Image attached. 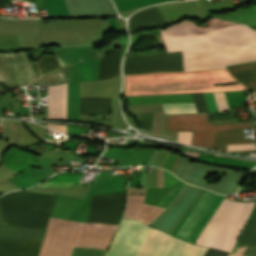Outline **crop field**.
Instances as JSON below:
<instances>
[{"instance_id": "obj_1", "label": "crop field", "mask_w": 256, "mask_h": 256, "mask_svg": "<svg viewBox=\"0 0 256 256\" xmlns=\"http://www.w3.org/2000/svg\"><path fill=\"white\" fill-rule=\"evenodd\" d=\"M161 34L167 52L182 51L184 71L256 60V31L220 18L199 27L183 21L161 30Z\"/></svg>"}, {"instance_id": "obj_2", "label": "crop field", "mask_w": 256, "mask_h": 256, "mask_svg": "<svg viewBox=\"0 0 256 256\" xmlns=\"http://www.w3.org/2000/svg\"><path fill=\"white\" fill-rule=\"evenodd\" d=\"M224 196L205 191L186 217L169 234L184 241H197ZM254 202L224 200L196 244L232 251Z\"/></svg>"}, {"instance_id": "obj_3", "label": "crop field", "mask_w": 256, "mask_h": 256, "mask_svg": "<svg viewBox=\"0 0 256 256\" xmlns=\"http://www.w3.org/2000/svg\"><path fill=\"white\" fill-rule=\"evenodd\" d=\"M125 80V96L246 89L241 84L213 86L235 81L227 70L129 75L125 76Z\"/></svg>"}, {"instance_id": "obj_4", "label": "crop field", "mask_w": 256, "mask_h": 256, "mask_svg": "<svg viewBox=\"0 0 256 256\" xmlns=\"http://www.w3.org/2000/svg\"><path fill=\"white\" fill-rule=\"evenodd\" d=\"M156 231L138 221L122 219L106 256H135ZM206 250L158 231L137 256H203Z\"/></svg>"}, {"instance_id": "obj_5", "label": "crop field", "mask_w": 256, "mask_h": 256, "mask_svg": "<svg viewBox=\"0 0 256 256\" xmlns=\"http://www.w3.org/2000/svg\"><path fill=\"white\" fill-rule=\"evenodd\" d=\"M255 123L215 125L208 114L166 115L164 130L193 131L191 144L226 151L227 144L255 143L245 139L244 128Z\"/></svg>"}, {"instance_id": "obj_6", "label": "crop field", "mask_w": 256, "mask_h": 256, "mask_svg": "<svg viewBox=\"0 0 256 256\" xmlns=\"http://www.w3.org/2000/svg\"><path fill=\"white\" fill-rule=\"evenodd\" d=\"M57 196L16 192L0 199L5 225L46 228Z\"/></svg>"}, {"instance_id": "obj_7", "label": "crop field", "mask_w": 256, "mask_h": 256, "mask_svg": "<svg viewBox=\"0 0 256 256\" xmlns=\"http://www.w3.org/2000/svg\"><path fill=\"white\" fill-rule=\"evenodd\" d=\"M158 71H182L180 52L127 58L124 74Z\"/></svg>"}, {"instance_id": "obj_8", "label": "crop field", "mask_w": 256, "mask_h": 256, "mask_svg": "<svg viewBox=\"0 0 256 256\" xmlns=\"http://www.w3.org/2000/svg\"><path fill=\"white\" fill-rule=\"evenodd\" d=\"M41 243L0 239V256H38Z\"/></svg>"}, {"instance_id": "obj_9", "label": "crop field", "mask_w": 256, "mask_h": 256, "mask_svg": "<svg viewBox=\"0 0 256 256\" xmlns=\"http://www.w3.org/2000/svg\"><path fill=\"white\" fill-rule=\"evenodd\" d=\"M67 83L48 86V118L66 119Z\"/></svg>"}, {"instance_id": "obj_10", "label": "crop field", "mask_w": 256, "mask_h": 256, "mask_svg": "<svg viewBox=\"0 0 256 256\" xmlns=\"http://www.w3.org/2000/svg\"><path fill=\"white\" fill-rule=\"evenodd\" d=\"M53 50L57 55L62 67L70 63L99 57L94 46L56 48Z\"/></svg>"}, {"instance_id": "obj_11", "label": "crop field", "mask_w": 256, "mask_h": 256, "mask_svg": "<svg viewBox=\"0 0 256 256\" xmlns=\"http://www.w3.org/2000/svg\"><path fill=\"white\" fill-rule=\"evenodd\" d=\"M46 229L0 226V238L42 241Z\"/></svg>"}, {"instance_id": "obj_12", "label": "crop field", "mask_w": 256, "mask_h": 256, "mask_svg": "<svg viewBox=\"0 0 256 256\" xmlns=\"http://www.w3.org/2000/svg\"><path fill=\"white\" fill-rule=\"evenodd\" d=\"M232 75L252 90H256V62L227 67Z\"/></svg>"}, {"instance_id": "obj_13", "label": "crop field", "mask_w": 256, "mask_h": 256, "mask_svg": "<svg viewBox=\"0 0 256 256\" xmlns=\"http://www.w3.org/2000/svg\"><path fill=\"white\" fill-rule=\"evenodd\" d=\"M121 48L100 59L99 80H106L119 75Z\"/></svg>"}, {"instance_id": "obj_14", "label": "crop field", "mask_w": 256, "mask_h": 256, "mask_svg": "<svg viewBox=\"0 0 256 256\" xmlns=\"http://www.w3.org/2000/svg\"><path fill=\"white\" fill-rule=\"evenodd\" d=\"M110 101L106 98H80V114H110Z\"/></svg>"}, {"instance_id": "obj_15", "label": "crop field", "mask_w": 256, "mask_h": 256, "mask_svg": "<svg viewBox=\"0 0 256 256\" xmlns=\"http://www.w3.org/2000/svg\"><path fill=\"white\" fill-rule=\"evenodd\" d=\"M67 119L79 120V82L68 83Z\"/></svg>"}, {"instance_id": "obj_16", "label": "crop field", "mask_w": 256, "mask_h": 256, "mask_svg": "<svg viewBox=\"0 0 256 256\" xmlns=\"http://www.w3.org/2000/svg\"><path fill=\"white\" fill-rule=\"evenodd\" d=\"M220 111H228L227 102L223 92L214 93ZM213 93H203L209 112L219 111Z\"/></svg>"}, {"instance_id": "obj_17", "label": "crop field", "mask_w": 256, "mask_h": 256, "mask_svg": "<svg viewBox=\"0 0 256 256\" xmlns=\"http://www.w3.org/2000/svg\"><path fill=\"white\" fill-rule=\"evenodd\" d=\"M81 175H58L48 181H78ZM76 182H45L37 187H70Z\"/></svg>"}, {"instance_id": "obj_18", "label": "crop field", "mask_w": 256, "mask_h": 256, "mask_svg": "<svg viewBox=\"0 0 256 256\" xmlns=\"http://www.w3.org/2000/svg\"><path fill=\"white\" fill-rule=\"evenodd\" d=\"M256 244V213L253 215L237 247Z\"/></svg>"}, {"instance_id": "obj_19", "label": "crop field", "mask_w": 256, "mask_h": 256, "mask_svg": "<svg viewBox=\"0 0 256 256\" xmlns=\"http://www.w3.org/2000/svg\"><path fill=\"white\" fill-rule=\"evenodd\" d=\"M164 109L195 107L193 103H168L163 104ZM165 113H197L195 108L164 110Z\"/></svg>"}, {"instance_id": "obj_20", "label": "crop field", "mask_w": 256, "mask_h": 256, "mask_svg": "<svg viewBox=\"0 0 256 256\" xmlns=\"http://www.w3.org/2000/svg\"><path fill=\"white\" fill-rule=\"evenodd\" d=\"M246 248H247V246L237 248L235 253L232 255H231V253H227V252H223V251H220L217 249L209 248V250L206 252V254L204 256H230V255L231 256H241Z\"/></svg>"}, {"instance_id": "obj_21", "label": "crop field", "mask_w": 256, "mask_h": 256, "mask_svg": "<svg viewBox=\"0 0 256 256\" xmlns=\"http://www.w3.org/2000/svg\"><path fill=\"white\" fill-rule=\"evenodd\" d=\"M184 183L179 181V183L176 185L175 189L172 190L168 193V195L165 197V199L161 202L159 205L160 207L166 208L168 203L171 201V199L175 196V194L179 191V189L182 187Z\"/></svg>"}, {"instance_id": "obj_22", "label": "crop field", "mask_w": 256, "mask_h": 256, "mask_svg": "<svg viewBox=\"0 0 256 256\" xmlns=\"http://www.w3.org/2000/svg\"><path fill=\"white\" fill-rule=\"evenodd\" d=\"M256 149L254 144L228 145L227 151Z\"/></svg>"}, {"instance_id": "obj_23", "label": "crop field", "mask_w": 256, "mask_h": 256, "mask_svg": "<svg viewBox=\"0 0 256 256\" xmlns=\"http://www.w3.org/2000/svg\"><path fill=\"white\" fill-rule=\"evenodd\" d=\"M192 132H179L177 141L190 144Z\"/></svg>"}, {"instance_id": "obj_24", "label": "crop field", "mask_w": 256, "mask_h": 256, "mask_svg": "<svg viewBox=\"0 0 256 256\" xmlns=\"http://www.w3.org/2000/svg\"><path fill=\"white\" fill-rule=\"evenodd\" d=\"M244 256H256V245L248 246L246 251L243 253Z\"/></svg>"}, {"instance_id": "obj_25", "label": "crop field", "mask_w": 256, "mask_h": 256, "mask_svg": "<svg viewBox=\"0 0 256 256\" xmlns=\"http://www.w3.org/2000/svg\"><path fill=\"white\" fill-rule=\"evenodd\" d=\"M48 127L66 134V126L48 124Z\"/></svg>"}]
</instances>
